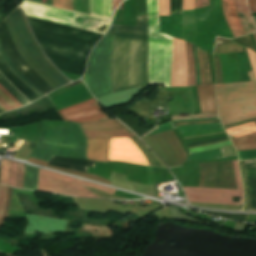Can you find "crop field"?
<instances>
[{
    "instance_id": "obj_36",
    "label": "crop field",
    "mask_w": 256,
    "mask_h": 256,
    "mask_svg": "<svg viewBox=\"0 0 256 256\" xmlns=\"http://www.w3.org/2000/svg\"><path fill=\"white\" fill-rule=\"evenodd\" d=\"M169 129H173V126L170 124V122H168L166 124L159 125L156 130H154L153 132L149 133L148 135L157 134V133H160L162 131L169 130Z\"/></svg>"
},
{
    "instance_id": "obj_7",
    "label": "crop field",
    "mask_w": 256,
    "mask_h": 256,
    "mask_svg": "<svg viewBox=\"0 0 256 256\" xmlns=\"http://www.w3.org/2000/svg\"><path fill=\"white\" fill-rule=\"evenodd\" d=\"M235 179L238 190L205 187H183L189 202H205L219 204H243V190L237 161H233ZM232 197H239V202H232Z\"/></svg>"
},
{
    "instance_id": "obj_13",
    "label": "crop field",
    "mask_w": 256,
    "mask_h": 256,
    "mask_svg": "<svg viewBox=\"0 0 256 256\" xmlns=\"http://www.w3.org/2000/svg\"><path fill=\"white\" fill-rule=\"evenodd\" d=\"M87 158L107 162L109 139H87Z\"/></svg>"
},
{
    "instance_id": "obj_44",
    "label": "crop field",
    "mask_w": 256,
    "mask_h": 256,
    "mask_svg": "<svg viewBox=\"0 0 256 256\" xmlns=\"http://www.w3.org/2000/svg\"><path fill=\"white\" fill-rule=\"evenodd\" d=\"M253 34V36H254V38H255V40H256V35H254V33H252Z\"/></svg>"
},
{
    "instance_id": "obj_1",
    "label": "crop field",
    "mask_w": 256,
    "mask_h": 256,
    "mask_svg": "<svg viewBox=\"0 0 256 256\" xmlns=\"http://www.w3.org/2000/svg\"><path fill=\"white\" fill-rule=\"evenodd\" d=\"M149 24V85L170 86L172 37L159 33L157 0H147ZM115 34L110 76L112 93L148 85V35Z\"/></svg>"
},
{
    "instance_id": "obj_33",
    "label": "crop field",
    "mask_w": 256,
    "mask_h": 256,
    "mask_svg": "<svg viewBox=\"0 0 256 256\" xmlns=\"http://www.w3.org/2000/svg\"><path fill=\"white\" fill-rule=\"evenodd\" d=\"M24 165L18 163L16 187L22 189Z\"/></svg>"
},
{
    "instance_id": "obj_39",
    "label": "crop field",
    "mask_w": 256,
    "mask_h": 256,
    "mask_svg": "<svg viewBox=\"0 0 256 256\" xmlns=\"http://www.w3.org/2000/svg\"><path fill=\"white\" fill-rule=\"evenodd\" d=\"M209 4V0H195V8Z\"/></svg>"
},
{
    "instance_id": "obj_15",
    "label": "crop field",
    "mask_w": 256,
    "mask_h": 256,
    "mask_svg": "<svg viewBox=\"0 0 256 256\" xmlns=\"http://www.w3.org/2000/svg\"><path fill=\"white\" fill-rule=\"evenodd\" d=\"M110 30L148 34L147 14L136 16V27L112 24Z\"/></svg>"
},
{
    "instance_id": "obj_23",
    "label": "crop field",
    "mask_w": 256,
    "mask_h": 256,
    "mask_svg": "<svg viewBox=\"0 0 256 256\" xmlns=\"http://www.w3.org/2000/svg\"><path fill=\"white\" fill-rule=\"evenodd\" d=\"M131 139L137 145V147L141 150L144 156L147 158L150 165L160 166L159 163L156 161V159L153 157V155L150 153V151L145 147V145L137 137H133Z\"/></svg>"
},
{
    "instance_id": "obj_38",
    "label": "crop field",
    "mask_w": 256,
    "mask_h": 256,
    "mask_svg": "<svg viewBox=\"0 0 256 256\" xmlns=\"http://www.w3.org/2000/svg\"><path fill=\"white\" fill-rule=\"evenodd\" d=\"M194 8V0H184L183 10Z\"/></svg>"
},
{
    "instance_id": "obj_32",
    "label": "crop field",
    "mask_w": 256,
    "mask_h": 256,
    "mask_svg": "<svg viewBox=\"0 0 256 256\" xmlns=\"http://www.w3.org/2000/svg\"><path fill=\"white\" fill-rule=\"evenodd\" d=\"M7 186L0 185V216L3 212L5 200H6Z\"/></svg>"
},
{
    "instance_id": "obj_6",
    "label": "crop field",
    "mask_w": 256,
    "mask_h": 256,
    "mask_svg": "<svg viewBox=\"0 0 256 256\" xmlns=\"http://www.w3.org/2000/svg\"><path fill=\"white\" fill-rule=\"evenodd\" d=\"M82 185L93 187L111 195L115 192V189L76 180L39 168L37 190L82 197H98Z\"/></svg>"
},
{
    "instance_id": "obj_45",
    "label": "crop field",
    "mask_w": 256,
    "mask_h": 256,
    "mask_svg": "<svg viewBox=\"0 0 256 256\" xmlns=\"http://www.w3.org/2000/svg\"><path fill=\"white\" fill-rule=\"evenodd\" d=\"M253 120H254V122L256 123V118H254ZM255 125H256V124H255Z\"/></svg>"
},
{
    "instance_id": "obj_41",
    "label": "crop field",
    "mask_w": 256,
    "mask_h": 256,
    "mask_svg": "<svg viewBox=\"0 0 256 256\" xmlns=\"http://www.w3.org/2000/svg\"><path fill=\"white\" fill-rule=\"evenodd\" d=\"M29 161L34 162V163H37V164H39V165H43V166H46V165H47V162H43V161H40V160L31 158V157L29 158Z\"/></svg>"
},
{
    "instance_id": "obj_8",
    "label": "crop field",
    "mask_w": 256,
    "mask_h": 256,
    "mask_svg": "<svg viewBox=\"0 0 256 256\" xmlns=\"http://www.w3.org/2000/svg\"><path fill=\"white\" fill-rule=\"evenodd\" d=\"M142 140L164 160L168 167L182 165L187 160V154L173 130L142 137Z\"/></svg>"
},
{
    "instance_id": "obj_22",
    "label": "crop field",
    "mask_w": 256,
    "mask_h": 256,
    "mask_svg": "<svg viewBox=\"0 0 256 256\" xmlns=\"http://www.w3.org/2000/svg\"><path fill=\"white\" fill-rule=\"evenodd\" d=\"M0 54L1 56L5 59V61L8 63L10 68L13 70V72L21 78L33 91H35L40 97L44 96L33 84H31L17 69L16 67L12 64V62L9 60V58L5 55L3 52L1 45H0Z\"/></svg>"
},
{
    "instance_id": "obj_29",
    "label": "crop field",
    "mask_w": 256,
    "mask_h": 256,
    "mask_svg": "<svg viewBox=\"0 0 256 256\" xmlns=\"http://www.w3.org/2000/svg\"><path fill=\"white\" fill-rule=\"evenodd\" d=\"M53 6L73 11L72 0H53Z\"/></svg>"
},
{
    "instance_id": "obj_11",
    "label": "crop field",
    "mask_w": 256,
    "mask_h": 256,
    "mask_svg": "<svg viewBox=\"0 0 256 256\" xmlns=\"http://www.w3.org/2000/svg\"><path fill=\"white\" fill-rule=\"evenodd\" d=\"M222 7L234 37L244 35L245 33L237 14L234 0H222Z\"/></svg>"
},
{
    "instance_id": "obj_19",
    "label": "crop field",
    "mask_w": 256,
    "mask_h": 256,
    "mask_svg": "<svg viewBox=\"0 0 256 256\" xmlns=\"http://www.w3.org/2000/svg\"><path fill=\"white\" fill-rule=\"evenodd\" d=\"M230 139L235 138V137H239L245 134H249L252 132L256 131V125L254 122L252 123H248V124H244V125H240V126H236V127H232V128H227L226 129Z\"/></svg>"
},
{
    "instance_id": "obj_9",
    "label": "crop field",
    "mask_w": 256,
    "mask_h": 256,
    "mask_svg": "<svg viewBox=\"0 0 256 256\" xmlns=\"http://www.w3.org/2000/svg\"><path fill=\"white\" fill-rule=\"evenodd\" d=\"M62 118L78 123L98 121L106 117L94 99L59 110Z\"/></svg>"
},
{
    "instance_id": "obj_25",
    "label": "crop field",
    "mask_w": 256,
    "mask_h": 256,
    "mask_svg": "<svg viewBox=\"0 0 256 256\" xmlns=\"http://www.w3.org/2000/svg\"><path fill=\"white\" fill-rule=\"evenodd\" d=\"M47 167H51V168H54V169L62 170V171H65V172H69V173H72V174H76V175H79V176H83V177H86V178H90V179H94V180H97V181H101V182L110 184V181L105 180L103 178H100V177H98L96 175H93V174L76 172V171L67 170V169L54 167V166H50V165H47Z\"/></svg>"
},
{
    "instance_id": "obj_37",
    "label": "crop field",
    "mask_w": 256,
    "mask_h": 256,
    "mask_svg": "<svg viewBox=\"0 0 256 256\" xmlns=\"http://www.w3.org/2000/svg\"><path fill=\"white\" fill-rule=\"evenodd\" d=\"M247 53H248V56H249V59H250L251 65H252V69L256 75V53L248 48H247Z\"/></svg>"
},
{
    "instance_id": "obj_12",
    "label": "crop field",
    "mask_w": 256,
    "mask_h": 256,
    "mask_svg": "<svg viewBox=\"0 0 256 256\" xmlns=\"http://www.w3.org/2000/svg\"><path fill=\"white\" fill-rule=\"evenodd\" d=\"M196 88L201 113H216L212 84L198 85Z\"/></svg>"
},
{
    "instance_id": "obj_5",
    "label": "crop field",
    "mask_w": 256,
    "mask_h": 256,
    "mask_svg": "<svg viewBox=\"0 0 256 256\" xmlns=\"http://www.w3.org/2000/svg\"><path fill=\"white\" fill-rule=\"evenodd\" d=\"M25 15L104 34L108 21L24 2Z\"/></svg>"
},
{
    "instance_id": "obj_35",
    "label": "crop field",
    "mask_w": 256,
    "mask_h": 256,
    "mask_svg": "<svg viewBox=\"0 0 256 256\" xmlns=\"http://www.w3.org/2000/svg\"><path fill=\"white\" fill-rule=\"evenodd\" d=\"M11 192H12V188L8 187L7 201H6V205H5V209H4L3 215H2V217L0 219V226L3 224V222H4L5 218H6V215H7V211H8L9 205H10Z\"/></svg>"
},
{
    "instance_id": "obj_2",
    "label": "crop field",
    "mask_w": 256,
    "mask_h": 256,
    "mask_svg": "<svg viewBox=\"0 0 256 256\" xmlns=\"http://www.w3.org/2000/svg\"><path fill=\"white\" fill-rule=\"evenodd\" d=\"M248 73L251 82L215 85L223 125L256 117V78L252 71Z\"/></svg>"
},
{
    "instance_id": "obj_3",
    "label": "crop field",
    "mask_w": 256,
    "mask_h": 256,
    "mask_svg": "<svg viewBox=\"0 0 256 256\" xmlns=\"http://www.w3.org/2000/svg\"><path fill=\"white\" fill-rule=\"evenodd\" d=\"M86 138H119L135 136L114 119L80 124ZM108 160H123L149 165L146 158L130 138L110 139Z\"/></svg>"
},
{
    "instance_id": "obj_10",
    "label": "crop field",
    "mask_w": 256,
    "mask_h": 256,
    "mask_svg": "<svg viewBox=\"0 0 256 256\" xmlns=\"http://www.w3.org/2000/svg\"><path fill=\"white\" fill-rule=\"evenodd\" d=\"M171 86H187L185 42L173 40Z\"/></svg>"
},
{
    "instance_id": "obj_4",
    "label": "crop field",
    "mask_w": 256,
    "mask_h": 256,
    "mask_svg": "<svg viewBox=\"0 0 256 256\" xmlns=\"http://www.w3.org/2000/svg\"><path fill=\"white\" fill-rule=\"evenodd\" d=\"M14 43L29 66L37 72L54 89L68 83L41 56L33 45L19 10H15L6 20Z\"/></svg>"
},
{
    "instance_id": "obj_18",
    "label": "crop field",
    "mask_w": 256,
    "mask_h": 256,
    "mask_svg": "<svg viewBox=\"0 0 256 256\" xmlns=\"http://www.w3.org/2000/svg\"><path fill=\"white\" fill-rule=\"evenodd\" d=\"M0 106L9 111L22 105L0 85Z\"/></svg>"
},
{
    "instance_id": "obj_27",
    "label": "crop field",
    "mask_w": 256,
    "mask_h": 256,
    "mask_svg": "<svg viewBox=\"0 0 256 256\" xmlns=\"http://www.w3.org/2000/svg\"><path fill=\"white\" fill-rule=\"evenodd\" d=\"M8 167H9V161H5L2 159L1 163V174H0V183L7 185V179H8Z\"/></svg>"
},
{
    "instance_id": "obj_28",
    "label": "crop field",
    "mask_w": 256,
    "mask_h": 256,
    "mask_svg": "<svg viewBox=\"0 0 256 256\" xmlns=\"http://www.w3.org/2000/svg\"><path fill=\"white\" fill-rule=\"evenodd\" d=\"M17 163L10 161L8 185L15 187Z\"/></svg>"
},
{
    "instance_id": "obj_34",
    "label": "crop field",
    "mask_w": 256,
    "mask_h": 256,
    "mask_svg": "<svg viewBox=\"0 0 256 256\" xmlns=\"http://www.w3.org/2000/svg\"><path fill=\"white\" fill-rule=\"evenodd\" d=\"M197 52H198L199 64H200V80H201V84H205V73H204L202 53H201V50L198 48H197Z\"/></svg>"
},
{
    "instance_id": "obj_16",
    "label": "crop field",
    "mask_w": 256,
    "mask_h": 256,
    "mask_svg": "<svg viewBox=\"0 0 256 256\" xmlns=\"http://www.w3.org/2000/svg\"><path fill=\"white\" fill-rule=\"evenodd\" d=\"M92 15L110 20V0H91Z\"/></svg>"
},
{
    "instance_id": "obj_30",
    "label": "crop field",
    "mask_w": 256,
    "mask_h": 256,
    "mask_svg": "<svg viewBox=\"0 0 256 256\" xmlns=\"http://www.w3.org/2000/svg\"><path fill=\"white\" fill-rule=\"evenodd\" d=\"M159 15H170L169 0H158Z\"/></svg>"
},
{
    "instance_id": "obj_14",
    "label": "crop field",
    "mask_w": 256,
    "mask_h": 256,
    "mask_svg": "<svg viewBox=\"0 0 256 256\" xmlns=\"http://www.w3.org/2000/svg\"><path fill=\"white\" fill-rule=\"evenodd\" d=\"M238 14L240 16L245 33H251L256 30L251 15L248 11L245 0H235Z\"/></svg>"
},
{
    "instance_id": "obj_43",
    "label": "crop field",
    "mask_w": 256,
    "mask_h": 256,
    "mask_svg": "<svg viewBox=\"0 0 256 256\" xmlns=\"http://www.w3.org/2000/svg\"><path fill=\"white\" fill-rule=\"evenodd\" d=\"M211 119H218V118H211ZM211 119H197V120H211ZM182 121H195V120H182ZM174 122H180V121H174Z\"/></svg>"
},
{
    "instance_id": "obj_17",
    "label": "crop field",
    "mask_w": 256,
    "mask_h": 256,
    "mask_svg": "<svg viewBox=\"0 0 256 256\" xmlns=\"http://www.w3.org/2000/svg\"><path fill=\"white\" fill-rule=\"evenodd\" d=\"M237 151L256 149V132L239 138L232 139Z\"/></svg>"
},
{
    "instance_id": "obj_20",
    "label": "crop field",
    "mask_w": 256,
    "mask_h": 256,
    "mask_svg": "<svg viewBox=\"0 0 256 256\" xmlns=\"http://www.w3.org/2000/svg\"><path fill=\"white\" fill-rule=\"evenodd\" d=\"M191 44V43H190ZM186 43L187 63H188V86L195 85L194 58L191 45Z\"/></svg>"
},
{
    "instance_id": "obj_42",
    "label": "crop field",
    "mask_w": 256,
    "mask_h": 256,
    "mask_svg": "<svg viewBox=\"0 0 256 256\" xmlns=\"http://www.w3.org/2000/svg\"><path fill=\"white\" fill-rule=\"evenodd\" d=\"M113 1V12L115 10V7L120 3L122 2V0H112Z\"/></svg>"
},
{
    "instance_id": "obj_31",
    "label": "crop field",
    "mask_w": 256,
    "mask_h": 256,
    "mask_svg": "<svg viewBox=\"0 0 256 256\" xmlns=\"http://www.w3.org/2000/svg\"><path fill=\"white\" fill-rule=\"evenodd\" d=\"M172 120H181V119H195V118H204V117H217L213 114H196V115H187V116H171Z\"/></svg>"
},
{
    "instance_id": "obj_40",
    "label": "crop field",
    "mask_w": 256,
    "mask_h": 256,
    "mask_svg": "<svg viewBox=\"0 0 256 256\" xmlns=\"http://www.w3.org/2000/svg\"><path fill=\"white\" fill-rule=\"evenodd\" d=\"M251 11L256 12V0H247Z\"/></svg>"
},
{
    "instance_id": "obj_21",
    "label": "crop field",
    "mask_w": 256,
    "mask_h": 256,
    "mask_svg": "<svg viewBox=\"0 0 256 256\" xmlns=\"http://www.w3.org/2000/svg\"><path fill=\"white\" fill-rule=\"evenodd\" d=\"M190 157L188 160H201V159H211V158H220L224 157L222 149H217L213 151L200 152V153H192L189 154Z\"/></svg>"
},
{
    "instance_id": "obj_24",
    "label": "crop field",
    "mask_w": 256,
    "mask_h": 256,
    "mask_svg": "<svg viewBox=\"0 0 256 256\" xmlns=\"http://www.w3.org/2000/svg\"><path fill=\"white\" fill-rule=\"evenodd\" d=\"M222 127L221 123H212V124H198V125H188V126H179L177 127L180 132L201 130V129H210V128H219Z\"/></svg>"
},
{
    "instance_id": "obj_26",
    "label": "crop field",
    "mask_w": 256,
    "mask_h": 256,
    "mask_svg": "<svg viewBox=\"0 0 256 256\" xmlns=\"http://www.w3.org/2000/svg\"><path fill=\"white\" fill-rule=\"evenodd\" d=\"M227 145H231L230 140L224 141V142H220V143H217V144H213V145H209V146L190 148V149H188V151H189V153L200 152V151H206V150H211V149H216V148L224 147V146H227Z\"/></svg>"
}]
</instances>
